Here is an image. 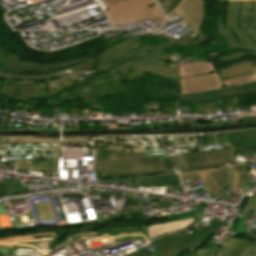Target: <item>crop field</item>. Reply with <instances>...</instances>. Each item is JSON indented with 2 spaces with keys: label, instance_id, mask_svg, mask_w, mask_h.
<instances>
[{
  "label": "crop field",
  "instance_id": "crop-field-32",
  "mask_svg": "<svg viewBox=\"0 0 256 256\" xmlns=\"http://www.w3.org/2000/svg\"><path fill=\"white\" fill-rule=\"evenodd\" d=\"M159 1H160L161 5L163 6L165 12H166L165 7L168 6L173 0H159ZM166 14H167V12H166Z\"/></svg>",
  "mask_w": 256,
  "mask_h": 256
},
{
  "label": "crop field",
  "instance_id": "crop-field-41",
  "mask_svg": "<svg viewBox=\"0 0 256 256\" xmlns=\"http://www.w3.org/2000/svg\"><path fill=\"white\" fill-rule=\"evenodd\" d=\"M255 172H256V170H255Z\"/></svg>",
  "mask_w": 256,
  "mask_h": 256
},
{
  "label": "crop field",
  "instance_id": "crop-field-3",
  "mask_svg": "<svg viewBox=\"0 0 256 256\" xmlns=\"http://www.w3.org/2000/svg\"><path fill=\"white\" fill-rule=\"evenodd\" d=\"M240 3L241 2H228L227 14H226V22H227V30H223V25L221 21V16L219 19V23L217 25V32L226 39L229 43V47H239V48H249L251 53L242 54L237 52L230 56L220 57L219 62L228 61L235 58H241L249 55L256 56V28L251 29H243L239 30L238 28V16L240 12ZM221 10L222 6L219 2Z\"/></svg>",
  "mask_w": 256,
  "mask_h": 256
},
{
  "label": "crop field",
  "instance_id": "crop-field-11",
  "mask_svg": "<svg viewBox=\"0 0 256 256\" xmlns=\"http://www.w3.org/2000/svg\"><path fill=\"white\" fill-rule=\"evenodd\" d=\"M200 219L201 218L195 214L193 216H190L182 220L148 226L147 227L148 241L156 237H159L161 235L187 229L193 224L197 223Z\"/></svg>",
  "mask_w": 256,
  "mask_h": 256
},
{
  "label": "crop field",
  "instance_id": "crop-field-8",
  "mask_svg": "<svg viewBox=\"0 0 256 256\" xmlns=\"http://www.w3.org/2000/svg\"><path fill=\"white\" fill-rule=\"evenodd\" d=\"M143 71L153 72L162 76L179 78L178 66L158 62H135L113 71L121 81L127 80Z\"/></svg>",
  "mask_w": 256,
  "mask_h": 256
},
{
  "label": "crop field",
  "instance_id": "crop-field-23",
  "mask_svg": "<svg viewBox=\"0 0 256 256\" xmlns=\"http://www.w3.org/2000/svg\"><path fill=\"white\" fill-rule=\"evenodd\" d=\"M246 181H247L246 164H242V165H240L238 188H241V186H242Z\"/></svg>",
  "mask_w": 256,
  "mask_h": 256
},
{
  "label": "crop field",
  "instance_id": "crop-field-40",
  "mask_svg": "<svg viewBox=\"0 0 256 256\" xmlns=\"http://www.w3.org/2000/svg\"><path fill=\"white\" fill-rule=\"evenodd\" d=\"M255 69H256V65H254Z\"/></svg>",
  "mask_w": 256,
  "mask_h": 256
},
{
  "label": "crop field",
  "instance_id": "crop-field-12",
  "mask_svg": "<svg viewBox=\"0 0 256 256\" xmlns=\"http://www.w3.org/2000/svg\"><path fill=\"white\" fill-rule=\"evenodd\" d=\"M177 9L181 11L183 19L198 30L204 17L203 0H184Z\"/></svg>",
  "mask_w": 256,
  "mask_h": 256
},
{
  "label": "crop field",
  "instance_id": "crop-field-4",
  "mask_svg": "<svg viewBox=\"0 0 256 256\" xmlns=\"http://www.w3.org/2000/svg\"><path fill=\"white\" fill-rule=\"evenodd\" d=\"M101 176H146L143 154L121 155L120 150H97Z\"/></svg>",
  "mask_w": 256,
  "mask_h": 256
},
{
  "label": "crop field",
  "instance_id": "crop-field-39",
  "mask_svg": "<svg viewBox=\"0 0 256 256\" xmlns=\"http://www.w3.org/2000/svg\"><path fill=\"white\" fill-rule=\"evenodd\" d=\"M217 1H227V0H217Z\"/></svg>",
  "mask_w": 256,
  "mask_h": 256
},
{
  "label": "crop field",
  "instance_id": "crop-field-34",
  "mask_svg": "<svg viewBox=\"0 0 256 256\" xmlns=\"http://www.w3.org/2000/svg\"><path fill=\"white\" fill-rule=\"evenodd\" d=\"M250 252L256 253V247L254 246L252 249H250L247 253H245L243 256H248Z\"/></svg>",
  "mask_w": 256,
  "mask_h": 256
},
{
  "label": "crop field",
  "instance_id": "crop-field-31",
  "mask_svg": "<svg viewBox=\"0 0 256 256\" xmlns=\"http://www.w3.org/2000/svg\"><path fill=\"white\" fill-rule=\"evenodd\" d=\"M182 0H174L167 8L168 14H170L180 3Z\"/></svg>",
  "mask_w": 256,
  "mask_h": 256
},
{
  "label": "crop field",
  "instance_id": "crop-field-14",
  "mask_svg": "<svg viewBox=\"0 0 256 256\" xmlns=\"http://www.w3.org/2000/svg\"><path fill=\"white\" fill-rule=\"evenodd\" d=\"M256 27V3L242 2L239 17V28Z\"/></svg>",
  "mask_w": 256,
  "mask_h": 256
},
{
  "label": "crop field",
  "instance_id": "crop-field-9",
  "mask_svg": "<svg viewBox=\"0 0 256 256\" xmlns=\"http://www.w3.org/2000/svg\"><path fill=\"white\" fill-rule=\"evenodd\" d=\"M230 167L210 169L192 173H181V180H188L200 176L204 183L216 194L229 183Z\"/></svg>",
  "mask_w": 256,
  "mask_h": 256
},
{
  "label": "crop field",
  "instance_id": "crop-field-27",
  "mask_svg": "<svg viewBox=\"0 0 256 256\" xmlns=\"http://www.w3.org/2000/svg\"><path fill=\"white\" fill-rule=\"evenodd\" d=\"M218 249H219V246L214 244L210 250L206 251L201 256H217Z\"/></svg>",
  "mask_w": 256,
  "mask_h": 256
},
{
  "label": "crop field",
  "instance_id": "crop-field-30",
  "mask_svg": "<svg viewBox=\"0 0 256 256\" xmlns=\"http://www.w3.org/2000/svg\"><path fill=\"white\" fill-rule=\"evenodd\" d=\"M40 170H52V161L41 160Z\"/></svg>",
  "mask_w": 256,
  "mask_h": 256
},
{
  "label": "crop field",
  "instance_id": "crop-field-38",
  "mask_svg": "<svg viewBox=\"0 0 256 256\" xmlns=\"http://www.w3.org/2000/svg\"><path fill=\"white\" fill-rule=\"evenodd\" d=\"M252 62H253V64H256V60H253Z\"/></svg>",
  "mask_w": 256,
  "mask_h": 256
},
{
  "label": "crop field",
  "instance_id": "crop-field-17",
  "mask_svg": "<svg viewBox=\"0 0 256 256\" xmlns=\"http://www.w3.org/2000/svg\"><path fill=\"white\" fill-rule=\"evenodd\" d=\"M237 135L238 143L236 152L248 151L250 149L256 148V129L237 131Z\"/></svg>",
  "mask_w": 256,
  "mask_h": 256
},
{
  "label": "crop field",
  "instance_id": "crop-field-28",
  "mask_svg": "<svg viewBox=\"0 0 256 256\" xmlns=\"http://www.w3.org/2000/svg\"><path fill=\"white\" fill-rule=\"evenodd\" d=\"M239 119H246V122H254V121H256V113L247 114V115H239Z\"/></svg>",
  "mask_w": 256,
  "mask_h": 256
},
{
  "label": "crop field",
  "instance_id": "crop-field-15",
  "mask_svg": "<svg viewBox=\"0 0 256 256\" xmlns=\"http://www.w3.org/2000/svg\"><path fill=\"white\" fill-rule=\"evenodd\" d=\"M253 64L251 61L233 64L228 67L219 69L222 79H228L231 77L239 76L242 74L254 72Z\"/></svg>",
  "mask_w": 256,
  "mask_h": 256
},
{
  "label": "crop field",
  "instance_id": "crop-field-18",
  "mask_svg": "<svg viewBox=\"0 0 256 256\" xmlns=\"http://www.w3.org/2000/svg\"><path fill=\"white\" fill-rule=\"evenodd\" d=\"M254 245L248 239L238 240L224 256H242Z\"/></svg>",
  "mask_w": 256,
  "mask_h": 256
},
{
  "label": "crop field",
  "instance_id": "crop-field-35",
  "mask_svg": "<svg viewBox=\"0 0 256 256\" xmlns=\"http://www.w3.org/2000/svg\"><path fill=\"white\" fill-rule=\"evenodd\" d=\"M164 79H170V80H172V81H174V82H176V83L179 84V79H172V78H167V77H164ZM178 84H177V85H178Z\"/></svg>",
  "mask_w": 256,
  "mask_h": 256
},
{
  "label": "crop field",
  "instance_id": "crop-field-1",
  "mask_svg": "<svg viewBox=\"0 0 256 256\" xmlns=\"http://www.w3.org/2000/svg\"><path fill=\"white\" fill-rule=\"evenodd\" d=\"M223 86V88H221ZM256 86V72L221 81L217 72L180 78V100L208 101L237 95L234 89Z\"/></svg>",
  "mask_w": 256,
  "mask_h": 256
},
{
  "label": "crop field",
  "instance_id": "crop-field-22",
  "mask_svg": "<svg viewBox=\"0 0 256 256\" xmlns=\"http://www.w3.org/2000/svg\"><path fill=\"white\" fill-rule=\"evenodd\" d=\"M250 209L256 211V198H255V196H252L251 198H249L247 200V202L245 204V208L241 212V215L246 217V215L248 214Z\"/></svg>",
  "mask_w": 256,
  "mask_h": 256
},
{
  "label": "crop field",
  "instance_id": "crop-field-25",
  "mask_svg": "<svg viewBox=\"0 0 256 256\" xmlns=\"http://www.w3.org/2000/svg\"><path fill=\"white\" fill-rule=\"evenodd\" d=\"M238 170H239V165L235 166V173H234V180H233V189L232 192L236 194H242L240 189H237V182H238Z\"/></svg>",
  "mask_w": 256,
  "mask_h": 256
},
{
  "label": "crop field",
  "instance_id": "crop-field-13",
  "mask_svg": "<svg viewBox=\"0 0 256 256\" xmlns=\"http://www.w3.org/2000/svg\"><path fill=\"white\" fill-rule=\"evenodd\" d=\"M215 71L216 69L213 62L207 61L192 62L179 66L180 77L212 73Z\"/></svg>",
  "mask_w": 256,
  "mask_h": 256
},
{
  "label": "crop field",
  "instance_id": "crop-field-36",
  "mask_svg": "<svg viewBox=\"0 0 256 256\" xmlns=\"http://www.w3.org/2000/svg\"><path fill=\"white\" fill-rule=\"evenodd\" d=\"M228 1H254V2H256V0H228Z\"/></svg>",
  "mask_w": 256,
  "mask_h": 256
},
{
  "label": "crop field",
  "instance_id": "crop-field-21",
  "mask_svg": "<svg viewBox=\"0 0 256 256\" xmlns=\"http://www.w3.org/2000/svg\"><path fill=\"white\" fill-rule=\"evenodd\" d=\"M0 78H10V79H30V80H46L52 79L51 76H16L5 73H0Z\"/></svg>",
  "mask_w": 256,
  "mask_h": 256
},
{
  "label": "crop field",
  "instance_id": "crop-field-10",
  "mask_svg": "<svg viewBox=\"0 0 256 256\" xmlns=\"http://www.w3.org/2000/svg\"><path fill=\"white\" fill-rule=\"evenodd\" d=\"M72 62H69V63L56 62V63H49V64L25 62V61H20V56L12 55L9 53L0 61V66H2L4 70H8V71L44 72V71H48L57 67L70 64Z\"/></svg>",
  "mask_w": 256,
  "mask_h": 256
},
{
  "label": "crop field",
  "instance_id": "crop-field-26",
  "mask_svg": "<svg viewBox=\"0 0 256 256\" xmlns=\"http://www.w3.org/2000/svg\"><path fill=\"white\" fill-rule=\"evenodd\" d=\"M126 256H153L144 247Z\"/></svg>",
  "mask_w": 256,
  "mask_h": 256
},
{
  "label": "crop field",
  "instance_id": "crop-field-6",
  "mask_svg": "<svg viewBox=\"0 0 256 256\" xmlns=\"http://www.w3.org/2000/svg\"><path fill=\"white\" fill-rule=\"evenodd\" d=\"M125 87L115 74L73 90L75 97H82L83 103L90 102V97L114 96L125 91Z\"/></svg>",
  "mask_w": 256,
  "mask_h": 256
},
{
  "label": "crop field",
  "instance_id": "crop-field-7",
  "mask_svg": "<svg viewBox=\"0 0 256 256\" xmlns=\"http://www.w3.org/2000/svg\"><path fill=\"white\" fill-rule=\"evenodd\" d=\"M234 148L182 153L185 169L233 163Z\"/></svg>",
  "mask_w": 256,
  "mask_h": 256
},
{
  "label": "crop field",
  "instance_id": "crop-field-33",
  "mask_svg": "<svg viewBox=\"0 0 256 256\" xmlns=\"http://www.w3.org/2000/svg\"><path fill=\"white\" fill-rule=\"evenodd\" d=\"M9 52H7V51H5L4 49H2L1 47H0V60L5 56V55H7Z\"/></svg>",
  "mask_w": 256,
  "mask_h": 256
},
{
  "label": "crop field",
  "instance_id": "crop-field-20",
  "mask_svg": "<svg viewBox=\"0 0 256 256\" xmlns=\"http://www.w3.org/2000/svg\"><path fill=\"white\" fill-rule=\"evenodd\" d=\"M230 237L231 235L227 234L225 237L222 238L221 250L219 253L220 256H223L227 252V250L237 241V239H233Z\"/></svg>",
  "mask_w": 256,
  "mask_h": 256
},
{
  "label": "crop field",
  "instance_id": "crop-field-19",
  "mask_svg": "<svg viewBox=\"0 0 256 256\" xmlns=\"http://www.w3.org/2000/svg\"><path fill=\"white\" fill-rule=\"evenodd\" d=\"M33 85L34 84L23 82L17 99L23 101L29 100L31 97Z\"/></svg>",
  "mask_w": 256,
  "mask_h": 256
},
{
  "label": "crop field",
  "instance_id": "crop-field-29",
  "mask_svg": "<svg viewBox=\"0 0 256 256\" xmlns=\"http://www.w3.org/2000/svg\"><path fill=\"white\" fill-rule=\"evenodd\" d=\"M238 95H244V94H251L256 93V87L248 88V89H242V90H236Z\"/></svg>",
  "mask_w": 256,
  "mask_h": 256
},
{
  "label": "crop field",
  "instance_id": "crop-field-37",
  "mask_svg": "<svg viewBox=\"0 0 256 256\" xmlns=\"http://www.w3.org/2000/svg\"><path fill=\"white\" fill-rule=\"evenodd\" d=\"M191 250H193V249H191ZM187 251H189V250H187ZM187 251H185L182 256H187Z\"/></svg>",
  "mask_w": 256,
  "mask_h": 256
},
{
  "label": "crop field",
  "instance_id": "crop-field-5",
  "mask_svg": "<svg viewBox=\"0 0 256 256\" xmlns=\"http://www.w3.org/2000/svg\"><path fill=\"white\" fill-rule=\"evenodd\" d=\"M222 224L223 222L216 217L209 226L205 225L191 236L177 233L157 238L151 243L164 252L158 256H181L184 250L202 246L215 231L222 227Z\"/></svg>",
  "mask_w": 256,
  "mask_h": 256
},
{
  "label": "crop field",
  "instance_id": "crop-field-24",
  "mask_svg": "<svg viewBox=\"0 0 256 256\" xmlns=\"http://www.w3.org/2000/svg\"><path fill=\"white\" fill-rule=\"evenodd\" d=\"M157 94L159 96H165L166 98H169L171 96L178 98L179 99V94L176 93L175 90H171V89H167L166 91H162V90H159L157 91Z\"/></svg>",
  "mask_w": 256,
  "mask_h": 256
},
{
  "label": "crop field",
  "instance_id": "crop-field-16",
  "mask_svg": "<svg viewBox=\"0 0 256 256\" xmlns=\"http://www.w3.org/2000/svg\"><path fill=\"white\" fill-rule=\"evenodd\" d=\"M140 180H141L142 186H138V187L142 188V189H148V188H153V187H163V186H167L169 184L179 182L178 175H176V174L143 178Z\"/></svg>",
  "mask_w": 256,
  "mask_h": 256
},
{
  "label": "crop field",
  "instance_id": "crop-field-2",
  "mask_svg": "<svg viewBox=\"0 0 256 256\" xmlns=\"http://www.w3.org/2000/svg\"><path fill=\"white\" fill-rule=\"evenodd\" d=\"M137 37L138 35L127 38L125 39L127 42L100 52L96 71H111L136 60L169 61L170 54L161 50V47H153L133 40Z\"/></svg>",
  "mask_w": 256,
  "mask_h": 256
}]
</instances>
